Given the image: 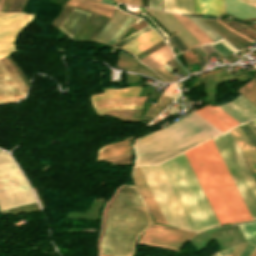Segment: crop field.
<instances>
[{
  "mask_svg": "<svg viewBox=\"0 0 256 256\" xmlns=\"http://www.w3.org/2000/svg\"><path fill=\"white\" fill-rule=\"evenodd\" d=\"M140 168L169 225L201 231L219 224L184 153ZM140 168L132 176L155 222L168 225Z\"/></svg>",
  "mask_w": 256,
  "mask_h": 256,
  "instance_id": "crop-field-1",
  "label": "crop field"
},
{
  "mask_svg": "<svg viewBox=\"0 0 256 256\" xmlns=\"http://www.w3.org/2000/svg\"><path fill=\"white\" fill-rule=\"evenodd\" d=\"M185 155L220 224L251 219L212 139Z\"/></svg>",
  "mask_w": 256,
  "mask_h": 256,
  "instance_id": "crop-field-2",
  "label": "crop field"
},
{
  "mask_svg": "<svg viewBox=\"0 0 256 256\" xmlns=\"http://www.w3.org/2000/svg\"><path fill=\"white\" fill-rule=\"evenodd\" d=\"M213 141L252 217L256 219V182L230 132Z\"/></svg>",
  "mask_w": 256,
  "mask_h": 256,
  "instance_id": "crop-field-3",
  "label": "crop field"
},
{
  "mask_svg": "<svg viewBox=\"0 0 256 256\" xmlns=\"http://www.w3.org/2000/svg\"><path fill=\"white\" fill-rule=\"evenodd\" d=\"M33 201L32 192L12 158L0 153V209Z\"/></svg>",
  "mask_w": 256,
  "mask_h": 256,
  "instance_id": "crop-field-4",
  "label": "crop field"
},
{
  "mask_svg": "<svg viewBox=\"0 0 256 256\" xmlns=\"http://www.w3.org/2000/svg\"><path fill=\"white\" fill-rule=\"evenodd\" d=\"M34 16L0 12V58L15 52V37Z\"/></svg>",
  "mask_w": 256,
  "mask_h": 256,
  "instance_id": "crop-field-5",
  "label": "crop field"
},
{
  "mask_svg": "<svg viewBox=\"0 0 256 256\" xmlns=\"http://www.w3.org/2000/svg\"><path fill=\"white\" fill-rule=\"evenodd\" d=\"M153 226L156 225H152L150 228H148L146 232L142 235V237L139 239L140 241L180 249L195 234L194 232L176 230L171 228H167L169 230H166L156 228Z\"/></svg>",
  "mask_w": 256,
  "mask_h": 256,
  "instance_id": "crop-field-6",
  "label": "crop field"
},
{
  "mask_svg": "<svg viewBox=\"0 0 256 256\" xmlns=\"http://www.w3.org/2000/svg\"><path fill=\"white\" fill-rule=\"evenodd\" d=\"M241 127L256 147V135L253 133L247 123L241 125ZM241 127L237 126L230 130L256 178V149Z\"/></svg>",
  "mask_w": 256,
  "mask_h": 256,
  "instance_id": "crop-field-7",
  "label": "crop field"
},
{
  "mask_svg": "<svg viewBox=\"0 0 256 256\" xmlns=\"http://www.w3.org/2000/svg\"><path fill=\"white\" fill-rule=\"evenodd\" d=\"M219 108H221L240 123L256 117V106H254L241 95L235 101L223 105Z\"/></svg>",
  "mask_w": 256,
  "mask_h": 256,
  "instance_id": "crop-field-8",
  "label": "crop field"
},
{
  "mask_svg": "<svg viewBox=\"0 0 256 256\" xmlns=\"http://www.w3.org/2000/svg\"><path fill=\"white\" fill-rule=\"evenodd\" d=\"M221 132L239 124L217 107L209 105L194 111Z\"/></svg>",
  "mask_w": 256,
  "mask_h": 256,
  "instance_id": "crop-field-9",
  "label": "crop field"
},
{
  "mask_svg": "<svg viewBox=\"0 0 256 256\" xmlns=\"http://www.w3.org/2000/svg\"><path fill=\"white\" fill-rule=\"evenodd\" d=\"M146 9H147V8H146ZM147 10H148V11H149V12H150V13H151V14H152V15L170 32V33L176 32V30H177V28H178L177 25H178L179 28H180L194 43H196L197 45L201 44V43H200L187 29H185L170 13H169V14H170V15H171V16H172V17H173V18H174V19L192 36V37H194V38L198 41L199 44H198L197 41H196L195 39H193V38H192V37H191V36H190V35H189V34H188V33H187V32H186V31L168 14V13H167V12H164V13H165L171 20H173L177 25H176L173 21H171L163 12H162V13H163L177 28H176L160 11H158V12L176 29V30H175V29H174V28L156 11V10H153V9H147ZM179 28H178V29H179ZM180 29H179V31H180L181 33H183ZM177 31H178V30H177ZM179 31L176 32V34L182 39V41H183L189 48L194 47L195 44L183 33V34L194 44V45H193V44H192L183 34H181ZM197 45H195V46H197Z\"/></svg>",
  "mask_w": 256,
  "mask_h": 256,
  "instance_id": "crop-field-10",
  "label": "crop field"
},
{
  "mask_svg": "<svg viewBox=\"0 0 256 256\" xmlns=\"http://www.w3.org/2000/svg\"><path fill=\"white\" fill-rule=\"evenodd\" d=\"M160 40H162L161 37L152 29L121 48L136 55Z\"/></svg>",
  "mask_w": 256,
  "mask_h": 256,
  "instance_id": "crop-field-11",
  "label": "crop field"
},
{
  "mask_svg": "<svg viewBox=\"0 0 256 256\" xmlns=\"http://www.w3.org/2000/svg\"><path fill=\"white\" fill-rule=\"evenodd\" d=\"M0 75L5 80V82L10 86V88L14 91V93L18 96L19 99L24 97L22 93L19 91V89L16 87V85L13 83V81L10 79V77L1 68V66H0ZM1 77H0V102H11V101L19 100Z\"/></svg>",
  "mask_w": 256,
  "mask_h": 256,
  "instance_id": "crop-field-12",
  "label": "crop field"
},
{
  "mask_svg": "<svg viewBox=\"0 0 256 256\" xmlns=\"http://www.w3.org/2000/svg\"><path fill=\"white\" fill-rule=\"evenodd\" d=\"M68 5L78 7L96 14H100L106 17H111L115 7L109 6L103 3H99L93 0H70Z\"/></svg>",
  "mask_w": 256,
  "mask_h": 256,
  "instance_id": "crop-field-13",
  "label": "crop field"
},
{
  "mask_svg": "<svg viewBox=\"0 0 256 256\" xmlns=\"http://www.w3.org/2000/svg\"><path fill=\"white\" fill-rule=\"evenodd\" d=\"M225 12L241 19L256 17V8L236 0H224Z\"/></svg>",
  "mask_w": 256,
  "mask_h": 256,
  "instance_id": "crop-field-14",
  "label": "crop field"
},
{
  "mask_svg": "<svg viewBox=\"0 0 256 256\" xmlns=\"http://www.w3.org/2000/svg\"><path fill=\"white\" fill-rule=\"evenodd\" d=\"M172 59H174V57L169 47L166 45L139 61L154 70Z\"/></svg>",
  "mask_w": 256,
  "mask_h": 256,
  "instance_id": "crop-field-15",
  "label": "crop field"
},
{
  "mask_svg": "<svg viewBox=\"0 0 256 256\" xmlns=\"http://www.w3.org/2000/svg\"><path fill=\"white\" fill-rule=\"evenodd\" d=\"M88 15L87 12L74 9L59 28L72 37Z\"/></svg>",
  "mask_w": 256,
  "mask_h": 256,
  "instance_id": "crop-field-16",
  "label": "crop field"
},
{
  "mask_svg": "<svg viewBox=\"0 0 256 256\" xmlns=\"http://www.w3.org/2000/svg\"><path fill=\"white\" fill-rule=\"evenodd\" d=\"M145 99L146 97L104 99L92 102V106L94 110H97L106 107L142 105Z\"/></svg>",
  "mask_w": 256,
  "mask_h": 256,
  "instance_id": "crop-field-17",
  "label": "crop field"
},
{
  "mask_svg": "<svg viewBox=\"0 0 256 256\" xmlns=\"http://www.w3.org/2000/svg\"><path fill=\"white\" fill-rule=\"evenodd\" d=\"M129 141L130 139L110 143L103 148L101 147L102 149L98 151L96 160L130 152Z\"/></svg>",
  "mask_w": 256,
  "mask_h": 256,
  "instance_id": "crop-field-18",
  "label": "crop field"
},
{
  "mask_svg": "<svg viewBox=\"0 0 256 256\" xmlns=\"http://www.w3.org/2000/svg\"><path fill=\"white\" fill-rule=\"evenodd\" d=\"M196 14L218 15L223 13L222 0H194Z\"/></svg>",
  "mask_w": 256,
  "mask_h": 256,
  "instance_id": "crop-field-19",
  "label": "crop field"
},
{
  "mask_svg": "<svg viewBox=\"0 0 256 256\" xmlns=\"http://www.w3.org/2000/svg\"><path fill=\"white\" fill-rule=\"evenodd\" d=\"M141 87L133 86L122 89H103L104 93L91 96L90 100L96 101L104 98L137 96Z\"/></svg>",
  "mask_w": 256,
  "mask_h": 256,
  "instance_id": "crop-field-20",
  "label": "crop field"
},
{
  "mask_svg": "<svg viewBox=\"0 0 256 256\" xmlns=\"http://www.w3.org/2000/svg\"><path fill=\"white\" fill-rule=\"evenodd\" d=\"M164 10L194 14L192 0H163Z\"/></svg>",
  "mask_w": 256,
  "mask_h": 256,
  "instance_id": "crop-field-21",
  "label": "crop field"
},
{
  "mask_svg": "<svg viewBox=\"0 0 256 256\" xmlns=\"http://www.w3.org/2000/svg\"><path fill=\"white\" fill-rule=\"evenodd\" d=\"M120 10H118V9H116L115 10V12H114V14H113V16H112V18H111V20H109L108 22H107V24L102 28V30L97 34V36L95 37V39H97L100 35H101V33L103 32V30L108 26V24L115 18V16L118 14V12H119ZM123 15H124V13L123 12H119V14L116 16V18L109 24V26L104 30V32L102 33V35L98 38V40H100V41H104V39L109 35V33L115 28V26L117 25V23L120 21V19L123 17ZM127 16V14H125L124 15V17L121 19V21L125 18ZM128 17V16H127ZM126 17V18H127ZM126 18L123 20V22L126 20ZM121 21L119 22V24L121 23ZM123 22L119 25V27H118V25L116 26V30L114 31V33H116V31L121 27V25L123 24ZM111 34V33H110ZM113 35V33L111 34V36ZM110 36V35H109ZM108 36V37H109ZM110 36V37H111ZM107 37V38H108ZM109 37V38H110ZM106 38V39H107ZM108 38V39H109ZM112 38V37H111ZM106 39H105V41H106ZM108 39H107V41H108ZM104 41V42H105ZM107 41L105 42V43H107Z\"/></svg>",
  "mask_w": 256,
  "mask_h": 256,
  "instance_id": "crop-field-22",
  "label": "crop field"
},
{
  "mask_svg": "<svg viewBox=\"0 0 256 256\" xmlns=\"http://www.w3.org/2000/svg\"><path fill=\"white\" fill-rule=\"evenodd\" d=\"M172 14V13H171ZM184 27H186L201 43L210 42L211 40L197 28L187 17L172 14Z\"/></svg>",
  "mask_w": 256,
  "mask_h": 256,
  "instance_id": "crop-field-23",
  "label": "crop field"
},
{
  "mask_svg": "<svg viewBox=\"0 0 256 256\" xmlns=\"http://www.w3.org/2000/svg\"><path fill=\"white\" fill-rule=\"evenodd\" d=\"M173 99L161 96L157 105L152 104L148 112L146 113L147 116L156 117L158 116L166 107H168Z\"/></svg>",
  "mask_w": 256,
  "mask_h": 256,
  "instance_id": "crop-field-24",
  "label": "crop field"
},
{
  "mask_svg": "<svg viewBox=\"0 0 256 256\" xmlns=\"http://www.w3.org/2000/svg\"><path fill=\"white\" fill-rule=\"evenodd\" d=\"M0 64L5 68V70L8 72V74L11 76V78L14 80V82L17 84V86L20 88V90L25 94L27 88L16 73V71L13 69V67L8 63V61L4 58L0 60Z\"/></svg>",
  "mask_w": 256,
  "mask_h": 256,
  "instance_id": "crop-field-25",
  "label": "crop field"
},
{
  "mask_svg": "<svg viewBox=\"0 0 256 256\" xmlns=\"http://www.w3.org/2000/svg\"><path fill=\"white\" fill-rule=\"evenodd\" d=\"M248 242L256 245V222L239 225Z\"/></svg>",
  "mask_w": 256,
  "mask_h": 256,
  "instance_id": "crop-field-26",
  "label": "crop field"
},
{
  "mask_svg": "<svg viewBox=\"0 0 256 256\" xmlns=\"http://www.w3.org/2000/svg\"><path fill=\"white\" fill-rule=\"evenodd\" d=\"M239 92L256 104V79L249 82L246 86L240 89Z\"/></svg>",
  "mask_w": 256,
  "mask_h": 256,
  "instance_id": "crop-field-27",
  "label": "crop field"
},
{
  "mask_svg": "<svg viewBox=\"0 0 256 256\" xmlns=\"http://www.w3.org/2000/svg\"><path fill=\"white\" fill-rule=\"evenodd\" d=\"M132 66H133V59H131L129 56L119 52L118 60H117V67L123 68V69H126V70L132 72Z\"/></svg>",
  "mask_w": 256,
  "mask_h": 256,
  "instance_id": "crop-field-28",
  "label": "crop field"
},
{
  "mask_svg": "<svg viewBox=\"0 0 256 256\" xmlns=\"http://www.w3.org/2000/svg\"><path fill=\"white\" fill-rule=\"evenodd\" d=\"M192 22H194L206 35H208L213 41L221 38L219 35H217L213 30H211L207 25H205L201 20H199L198 18L194 17L196 20H198L205 28H207L210 32L214 33L216 36H218L219 38H217L215 35H213L212 33H210L207 29H205L198 21H196L193 17H188Z\"/></svg>",
  "mask_w": 256,
  "mask_h": 256,
  "instance_id": "crop-field-29",
  "label": "crop field"
},
{
  "mask_svg": "<svg viewBox=\"0 0 256 256\" xmlns=\"http://www.w3.org/2000/svg\"><path fill=\"white\" fill-rule=\"evenodd\" d=\"M150 29H152V28L148 25V26L142 28L141 30L137 31L136 33L130 35L129 37L125 38L124 40L118 42V43L115 44L114 46L120 47V46L126 44L127 42L131 41L132 39L138 37L139 35L145 33L146 31H148V30H150Z\"/></svg>",
  "mask_w": 256,
  "mask_h": 256,
  "instance_id": "crop-field-30",
  "label": "crop field"
},
{
  "mask_svg": "<svg viewBox=\"0 0 256 256\" xmlns=\"http://www.w3.org/2000/svg\"><path fill=\"white\" fill-rule=\"evenodd\" d=\"M130 159H131V154L113 158V159H109V160H105V161L109 162L111 164H121V163H130Z\"/></svg>",
  "mask_w": 256,
  "mask_h": 256,
  "instance_id": "crop-field-31",
  "label": "crop field"
},
{
  "mask_svg": "<svg viewBox=\"0 0 256 256\" xmlns=\"http://www.w3.org/2000/svg\"><path fill=\"white\" fill-rule=\"evenodd\" d=\"M169 38L175 44V46L179 49L180 52L188 50L186 45L179 39V37L176 34Z\"/></svg>",
  "mask_w": 256,
  "mask_h": 256,
  "instance_id": "crop-field-32",
  "label": "crop field"
},
{
  "mask_svg": "<svg viewBox=\"0 0 256 256\" xmlns=\"http://www.w3.org/2000/svg\"><path fill=\"white\" fill-rule=\"evenodd\" d=\"M213 48H215L219 53H221L223 56H227L231 53H233L231 50H229L227 47H225L220 42L212 45Z\"/></svg>",
  "mask_w": 256,
  "mask_h": 256,
  "instance_id": "crop-field-33",
  "label": "crop field"
},
{
  "mask_svg": "<svg viewBox=\"0 0 256 256\" xmlns=\"http://www.w3.org/2000/svg\"><path fill=\"white\" fill-rule=\"evenodd\" d=\"M96 15L91 14L90 17L87 19V21L83 24V26L80 28V30L76 33V35L73 37L75 40L79 38V36L84 32V30L89 26V24L94 20Z\"/></svg>",
  "mask_w": 256,
  "mask_h": 256,
  "instance_id": "crop-field-34",
  "label": "crop field"
},
{
  "mask_svg": "<svg viewBox=\"0 0 256 256\" xmlns=\"http://www.w3.org/2000/svg\"><path fill=\"white\" fill-rule=\"evenodd\" d=\"M168 81H174L175 79L161 66L154 70Z\"/></svg>",
  "mask_w": 256,
  "mask_h": 256,
  "instance_id": "crop-field-35",
  "label": "crop field"
},
{
  "mask_svg": "<svg viewBox=\"0 0 256 256\" xmlns=\"http://www.w3.org/2000/svg\"><path fill=\"white\" fill-rule=\"evenodd\" d=\"M205 20H206V19H205ZM210 20H211V19H210ZM211 21H212V20H211ZM211 21H210V22H211ZM206 22H207V21H206ZM208 22H209V21H208ZM210 22H209V23H210ZM212 22H214V21H212ZM214 23H215V22H214ZM210 24H211V23H210ZM215 24H216V23H215ZM215 24H214V25H215ZM211 25H213V24H211ZM214 25H213V26H214ZM216 25L219 26L218 24H216ZM214 27H215V26H214ZM219 27H220V26H219ZM219 27H218V28H219ZM215 28H217V27H215ZM218 28H217V29H218ZM220 28L223 29L222 27H220ZM217 29H216V30H217ZM218 30H219V29H218ZM223 30H224V29H223ZM223 30H222V31H223ZM220 31H221V30H220ZM220 31H219V32H220ZM222 31H221V32H222ZM224 31L227 32L226 30H224ZM224 31H223V32H224ZM221 32H220V33H221ZM223 32H222V33H223ZM227 33H228L229 35H231L233 38H235L237 41H239L241 44L245 43V42H243L242 40H240V39H238L237 37H235L234 35H232L231 33H229V32H227ZM227 33H226V34H227ZM224 34H225V33H224ZM224 34H223V35H224ZM226 34H225V35H226ZM228 34H227V35H228ZM225 35H224V36H225ZM229 35H228V36H229ZM231 36H230V37H231ZM225 37H227V36H225ZM230 37H229V38H230ZM232 37H231V38H232ZM227 38H228V37H227ZM229 38H228V39H229ZM233 38H232V39H233ZM235 39H234V40H235ZM229 40H231V39H229ZM234 40H233V41H234ZM236 40H235V41H236ZM231 41H232V40H231ZM233 41H232V42H233ZM235 41H234V42H235ZM234 42H233V43H234ZM239 42H238V43H239ZM236 43H237V42H236ZM236 43H234V44H236ZM238 43H237V44H238ZM240 43H239V44H240ZM237 44H236V45H237ZM239 44H238V45H239ZM238 45H237V46H238ZM239 46H241V45H239ZM239 46H238V47H239ZM241 47H242V46H241ZM241 47H240V48H241ZM242 48H244V47H242ZM242 48H241V49H242Z\"/></svg>",
  "mask_w": 256,
  "mask_h": 256,
  "instance_id": "crop-field-36",
  "label": "crop field"
},
{
  "mask_svg": "<svg viewBox=\"0 0 256 256\" xmlns=\"http://www.w3.org/2000/svg\"><path fill=\"white\" fill-rule=\"evenodd\" d=\"M246 245H247V243H243V244L235 246V248L233 249V251L231 252V254L229 256H239Z\"/></svg>",
  "mask_w": 256,
  "mask_h": 256,
  "instance_id": "crop-field-37",
  "label": "crop field"
},
{
  "mask_svg": "<svg viewBox=\"0 0 256 256\" xmlns=\"http://www.w3.org/2000/svg\"><path fill=\"white\" fill-rule=\"evenodd\" d=\"M150 8L161 10L160 0H149Z\"/></svg>",
  "mask_w": 256,
  "mask_h": 256,
  "instance_id": "crop-field-38",
  "label": "crop field"
},
{
  "mask_svg": "<svg viewBox=\"0 0 256 256\" xmlns=\"http://www.w3.org/2000/svg\"><path fill=\"white\" fill-rule=\"evenodd\" d=\"M114 1L141 6L140 0H114Z\"/></svg>",
  "mask_w": 256,
  "mask_h": 256,
  "instance_id": "crop-field-39",
  "label": "crop field"
},
{
  "mask_svg": "<svg viewBox=\"0 0 256 256\" xmlns=\"http://www.w3.org/2000/svg\"><path fill=\"white\" fill-rule=\"evenodd\" d=\"M234 247H231V248H228V249H225V250H222L216 254H214L213 256H228L229 253L232 251Z\"/></svg>",
  "mask_w": 256,
  "mask_h": 256,
  "instance_id": "crop-field-40",
  "label": "crop field"
},
{
  "mask_svg": "<svg viewBox=\"0 0 256 256\" xmlns=\"http://www.w3.org/2000/svg\"><path fill=\"white\" fill-rule=\"evenodd\" d=\"M253 247L254 246H252L251 244L248 243V245L246 246V248L244 249V251L241 253L240 256H248V254L251 252Z\"/></svg>",
  "mask_w": 256,
  "mask_h": 256,
  "instance_id": "crop-field-41",
  "label": "crop field"
},
{
  "mask_svg": "<svg viewBox=\"0 0 256 256\" xmlns=\"http://www.w3.org/2000/svg\"><path fill=\"white\" fill-rule=\"evenodd\" d=\"M141 107H142V106L106 108V109H102V110H97V111H95V112L97 113V112H101V111L108 110V109H126V108H141Z\"/></svg>",
  "mask_w": 256,
  "mask_h": 256,
  "instance_id": "crop-field-42",
  "label": "crop field"
},
{
  "mask_svg": "<svg viewBox=\"0 0 256 256\" xmlns=\"http://www.w3.org/2000/svg\"><path fill=\"white\" fill-rule=\"evenodd\" d=\"M134 19H135V17L130 21V23L127 25L126 29H127L128 26L133 22ZM136 20H137V18L135 19V21H136ZM135 21H134L131 25H133V24L135 23ZM131 25H130V26H131ZM126 29H125V30H126ZM125 30H124V31H125ZM124 31H123V32H124ZM126 31H127V30H126ZM126 31H125V32H126ZM123 32L118 36V38L123 34ZM118 38L116 39V41L118 40ZM120 38H121V37H120Z\"/></svg>",
  "mask_w": 256,
  "mask_h": 256,
  "instance_id": "crop-field-43",
  "label": "crop field"
},
{
  "mask_svg": "<svg viewBox=\"0 0 256 256\" xmlns=\"http://www.w3.org/2000/svg\"><path fill=\"white\" fill-rule=\"evenodd\" d=\"M239 1H242L244 3H247L249 5H251L252 3H254L256 0H239Z\"/></svg>",
  "mask_w": 256,
  "mask_h": 256,
  "instance_id": "crop-field-44",
  "label": "crop field"
},
{
  "mask_svg": "<svg viewBox=\"0 0 256 256\" xmlns=\"http://www.w3.org/2000/svg\"><path fill=\"white\" fill-rule=\"evenodd\" d=\"M199 19H201V18H199ZM202 20V19H201ZM205 24H207L204 20H202ZM211 29H213L217 34H219L220 36L222 35V34H220L218 31H216L213 27H211L209 24H207Z\"/></svg>",
  "mask_w": 256,
  "mask_h": 256,
  "instance_id": "crop-field-45",
  "label": "crop field"
},
{
  "mask_svg": "<svg viewBox=\"0 0 256 256\" xmlns=\"http://www.w3.org/2000/svg\"><path fill=\"white\" fill-rule=\"evenodd\" d=\"M249 256H256V247H254Z\"/></svg>",
  "mask_w": 256,
  "mask_h": 256,
  "instance_id": "crop-field-46",
  "label": "crop field"
},
{
  "mask_svg": "<svg viewBox=\"0 0 256 256\" xmlns=\"http://www.w3.org/2000/svg\"><path fill=\"white\" fill-rule=\"evenodd\" d=\"M102 1L113 5V1L112 0H102Z\"/></svg>",
  "mask_w": 256,
  "mask_h": 256,
  "instance_id": "crop-field-47",
  "label": "crop field"
},
{
  "mask_svg": "<svg viewBox=\"0 0 256 256\" xmlns=\"http://www.w3.org/2000/svg\"><path fill=\"white\" fill-rule=\"evenodd\" d=\"M250 123H251L252 126L256 129V125H255L252 121H250Z\"/></svg>",
  "mask_w": 256,
  "mask_h": 256,
  "instance_id": "crop-field-48",
  "label": "crop field"
},
{
  "mask_svg": "<svg viewBox=\"0 0 256 256\" xmlns=\"http://www.w3.org/2000/svg\"><path fill=\"white\" fill-rule=\"evenodd\" d=\"M249 123V122H248ZM250 124V123H249ZM250 126H251V124H250ZM252 127V126H251ZM253 128V127H252ZM253 130L256 132V130L253 128Z\"/></svg>",
  "mask_w": 256,
  "mask_h": 256,
  "instance_id": "crop-field-49",
  "label": "crop field"
},
{
  "mask_svg": "<svg viewBox=\"0 0 256 256\" xmlns=\"http://www.w3.org/2000/svg\"><path fill=\"white\" fill-rule=\"evenodd\" d=\"M256 124V120L253 121Z\"/></svg>",
  "mask_w": 256,
  "mask_h": 256,
  "instance_id": "crop-field-50",
  "label": "crop field"
},
{
  "mask_svg": "<svg viewBox=\"0 0 256 256\" xmlns=\"http://www.w3.org/2000/svg\"><path fill=\"white\" fill-rule=\"evenodd\" d=\"M254 6H256V4H254Z\"/></svg>",
  "mask_w": 256,
  "mask_h": 256,
  "instance_id": "crop-field-51",
  "label": "crop field"
},
{
  "mask_svg": "<svg viewBox=\"0 0 256 256\" xmlns=\"http://www.w3.org/2000/svg\"><path fill=\"white\" fill-rule=\"evenodd\" d=\"M0 152H2V151L0 150Z\"/></svg>",
  "mask_w": 256,
  "mask_h": 256,
  "instance_id": "crop-field-52",
  "label": "crop field"
},
{
  "mask_svg": "<svg viewBox=\"0 0 256 256\" xmlns=\"http://www.w3.org/2000/svg\"><path fill=\"white\" fill-rule=\"evenodd\" d=\"M100 256H102V255H100Z\"/></svg>",
  "mask_w": 256,
  "mask_h": 256,
  "instance_id": "crop-field-53",
  "label": "crop field"
},
{
  "mask_svg": "<svg viewBox=\"0 0 256 256\" xmlns=\"http://www.w3.org/2000/svg\"><path fill=\"white\" fill-rule=\"evenodd\" d=\"M101 1V0H100Z\"/></svg>",
  "mask_w": 256,
  "mask_h": 256,
  "instance_id": "crop-field-54",
  "label": "crop field"
},
{
  "mask_svg": "<svg viewBox=\"0 0 256 256\" xmlns=\"http://www.w3.org/2000/svg\"><path fill=\"white\" fill-rule=\"evenodd\" d=\"M256 72V71H255Z\"/></svg>",
  "mask_w": 256,
  "mask_h": 256,
  "instance_id": "crop-field-55",
  "label": "crop field"
}]
</instances>
